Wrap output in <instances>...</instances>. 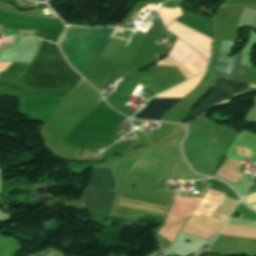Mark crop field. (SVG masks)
Instances as JSON below:
<instances>
[{
    "label": "crop field",
    "mask_w": 256,
    "mask_h": 256,
    "mask_svg": "<svg viewBox=\"0 0 256 256\" xmlns=\"http://www.w3.org/2000/svg\"><path fill=\"white\" fill-rule=\"evenodd\" d=\"M40 42L37 55L20 75L21 78L31 87L66 91L74 89L82 78L69 68L55 44L43 40Z\"/></svg>",
    "instance_id": "obj_1"
},
{
    "label": "crop field",
    "mask_w": 256,
    "mask_h": 256,
    "mask_svg": "<svg viewBox=\"0 0 256 256\" xmlns=\"http://www.w3.org/2000/svg\"><path fill=\"white\" fill-rule=\"evenodd\" d=\"M115 30L116 28L66 27L59 47L72 67L84 76Z\"/></svg>",
    "instance_id": "obj_2"
},
{
    "label": "crop field",
    "mask_w": 256,
    "mask_h": 256,
    "mask_svg": "<svg viewBox=\"0 0 256 256\" xmlns=\"http://www.w3.org/2000/svg\"><path fill=\"white\" fill-rule=\"evenodd\" d=\"M225 193L209 188L194 213L185 221L181 232L211 238L221 231L238 201L223 197Z\"/></svg>",
    "instance_id": "obj_3"
},
{
    "label": "crop field",
    "mask_w": 256,
    "mask_h": 256,
    "mask_svg": "<svg viewBox=\"0 0 256 256\" xmlns=\"http://www.w3.org/2000/svg\"><path fill=\"white\" fill-rule=\"evenodd\" d=\"M256 87L254 85L219 78L214 89L212 95L198 108L191 111L187 116H185L179 123H184L187 127L193 123L201 114H203L208 108L225 102L235 96H238L244 92L255 90Z\"/></svg>",
    "instance_id": "obj_4"
},
{
    "label": "crop field",
    "mask_w": 256,
    "mask_h": 256,
    "mask_svg": "<svg viewBox=\"0 0 256 256\" xmlns=\"http://www.w3.org/2000/svg\"><path fill=\"white\" fill-rule=\"evenodd\" d=\"M235 41L221 40L220 50L218 54L217 61L212 69V73L220 76H226L238 79L243 73L244 69L241 65L239 55L226 58L229 55L232 45Z\"/></svg>",
    "instance_id": "obj_5"
},
{
    "label": "crop field",
    "mask_w": 256,
    "mask_h": 256,
    "mask_svg": "<svg viewBox=\"0 0 256 256\" xmlns=\"http://www.w3.org/2000/svg\"><path fill=\"white\" fill-rule=\"evenodd\" d=\"M184 96H156L154 98H183ZM181 99H151L145 108L133 118L158 121Z\"/></svg>",
    "instance_id": "obj_6"
},
{
    "label": "crop field",
    "mask_w": 256,
    "mask_h": 256,
    "mask_svg": "<svg viewBox=\"0 0 256 256\" xmlns=\"http://www.w3.org/2000/svg\"><path fill=\"white\" fill-rule=\"evenodd\" d=\"M113 192L96 188H86L83 202L86 208L108 210L110 209Z\"/></svg>",
    "instance_id": "obj_7"
},
{
    "label": "crop field",
    "mask_w": 256,
    "mask_h": 256,
    "mask_svg": "<svg viewBox=\"0 0 256 256\" xmlns=\"http://www.w3.org/2000/svg\"><path fill=\"white\" fill-rule=\"evenodd\" d=\"M88 186H96L102 189L114 190L115 181L111 168L93 170Z\"/></svg>",
    "instance_id": "obj_8"
},
{
    "label": "crop field",
    "mask_w": 256,
    "mask_h": 256,
    "mask_svg": "<svg viewBox=\"0 0 256 256\" xmlns=\"http://www.w3.org/2000/svg\"><path fill=\"white\" fill-rule=\"evenodd\" d=\"M242 166V163L227 157L222 165L219 167V169L216 171L215 175L238 183L239 180L242 178L243 174H239L237 172Z\"/></svg>",
    "instance_id": "obj_9"
},
{
    "label": "crop field",
    "mask_w": 256,
    "mask_h": 256,
    "mask_svg": "<svg viewBox=\"0 0 256 256\" xmlns=\"http://www.w3.org/2000/svg\"><path fill=\"white\" fill-rule=\"evenodd\" d=\"M222 234L256 239V227L227 224Z\"/></svg>",
    "instance_id": "obj_10"
},
{
    "label": "crop field",
    "mask_w": 256,
    "mask_h": 256,
    "mask_svg": "<svg viewBox=\"0 0 256 256\" xmlns=\"http://www.w3.org/2000/svg\"><path fill=\"white\" fill-rule=\"evenodd\" d=\"M237 140H235V142L233 144V147H237V148H240V149H244V150L256 153V145H252V144L237 141Z\"/></svg>",
    "instance_id": "obj_11"
},
{
    "label": "crop field",
    "mask_w": 256,
    "mask_h": 256,
    "mask_svg": "<svg viewBox=\"0 0 256 256\" xmlns=\"http://www.w3.org/2000/svg\"><path fill=\"white\" fill-rule=\"evenodd\" d=\"M156 20V19H155ZM163 28L161 27V25L159 24V22L156 20L151 28L149 29L148 33L156 35V36H160L161 32H162Z\"/></svg>",
    "instance_id": "obj_12"
},
{
    "label": "crop field",
    "mask_w": 256,
    "mask_h": 256,
    "mask_svg": "<svg viewBox=\"0 0 256 256\" xmlns=\"http://www.w3.org/2000/svg\"><path fill=\"white\" fill-rule=\"evenodd\" d=\"M48 252H39V253H33V254H31V255H29V256H44V255H46ZM50 253V252H49ZM48 253V254H49ZM50 254H52V252L50 253ZM49 254V255H50ZM49 255H47V256H49Z\"/></svg>",
    "instance_id": "obj_13"
},
{
    "label": "crop field",
    "mask_w": 256,
    "mask_h": 256,
    "mask_svg": "<svg viewBox=\"0 0 256 256\" xmlns=\"http://www.w3.org/2000/svg\"><path fill=\"white\" fill-rule=\"evenodd\" d=\"M107 218L113 219V220H117V221H121V222H125V223L132 222V221L127 222V221H125V220H121V219H117V218H113V217H109V216H108ZM141 218H143V217H139V218H137V219H135V220H138V219H141ZM135 220H133V221H135Z\"/></svg>",
    "instance_id": "obj_14"
},
{
    "label": "crop field",
    "mask_w": 256,
    "mask_h": 256,
    "mask_svg": "<svg viewBox=\"0 0 256 256\" xmlns=\"http://www.w3.org/2000/svg\"><path fill=\"white\" fill-rule=\"evenodd\" d=\"M10 63H0V72L3 71Z\"/></svg>",
    "instance_id": "obj_15"
},
{
    "label": "crop field",
    "mask_w": 256,
    "mask_h": 256,
    "mask_svg": "<svg viewBox=\"0 0 256 256\" xmlns=\"http://www.w3.org/2000/svg\"><path fill=\"white\" fill-rule=\"evenodd\" d=\"M255 101H256V97H255Z\"/></svg>",
    "instance_id": "obj_16"
}]
</instances>
